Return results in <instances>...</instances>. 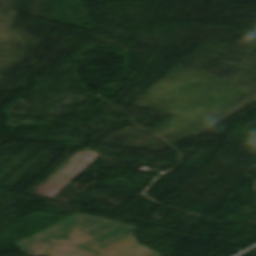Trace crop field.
Segmentation results:
<instances>
[{"mask_svg":"<svg viewBox=\"0 0 256 256\" xmlns=\"http://www.w3.org/2000/svg\"><path fill=\"white\" fill-rule=\"evenodd\" d=\"M134 230L131 226L77 214L15 245L26 253L46 256H159L135 242Z\"/></svg>","mask_w":256,"mask_h":256,"instance_id":"obj_1","label":"crop field"}]
</instances>
